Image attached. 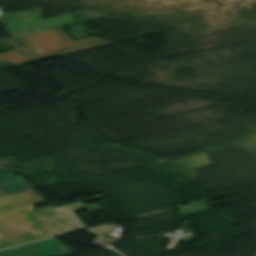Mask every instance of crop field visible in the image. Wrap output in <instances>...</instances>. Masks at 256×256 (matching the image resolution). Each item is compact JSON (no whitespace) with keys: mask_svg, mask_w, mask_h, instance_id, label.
<instances>
[{"mask_svg":"<svg viewBox=\"0 0 256 256\" xmlns=\"http://www.w3.org/2000/svg\"><path fill=\"white\" fill-rule=\"evenodd\" d=\"M45 203L34 191L0 197V249L85 228L73 212L80 202L33 211Z\"/></svg>","mask_w":256,"mask_h":256,"instance_id":"1","label":"crop field"},{"mask_svg":"<svg viewBox=\"0 0 256 256\" xmlns=\"http://www.w3.org/2000/svg\"><path fill=\"white\" fill-rule=\"evenodd\" d=\"M9 42L16 49L34 51L47 58L115 43L98 36L74 42L60 28L10 39Z\"/></svg>","mask_w":256,"mask_h":256,"instance_id":"2","label":"crop field"},{"mask_svg":"<svg viewBox=\"0 0 256 256\" xmlns=\"http://www.w3.org/2000/svg\"><path fill=\"white\" fill-rule=\"evenodd\" d=\"M70 248L55 238L0 251V256H60Z\"/></svg>","mask_w":256,"mask_h":256,"instance_id":"3","label":"crop field"},{"mask_svg":"<svg viewBox=\"0 0 256 256\" xmlns=\"http://www.w3.org/2000/svg\"><path fill=\"white\" fill-rule=\"evenodd\" d=\"M33 188L24 179L13 175L8 167L0 168V196Z\"/></svg>","mask_w":256,"mask_h":256,"instance_id":"4","label":"crop field"},{"mask_svg":"<svg viewBox=\"0 0 256 256\" xmlns=\"http://www.w3.org/2000/svg\"><path fill=\"white\" fill-rule=\"evenodd\" d=\"M45 59L44 57L35 54L33 52H23V51H12L0 54V61L6 60L10 63H15L17 65Z\"/></svg>","mask_w":256,"mask_h":256,"instance_id":"5","label":"crop field"},{"mask_svg":"<svg viewBox=\"0 0 256 256\" xmlns=\"http://www.w3.org/2000/svg\"><path fill=\"white\" fill-rule=\"evenodd\" d=\"M17 164L13 158H0V167L10 166Z\"/></svg>","mask_w":256,"mask_h":256,"instance_id":"6","label":"crop field"},{"mask_svg":"<svg viewBox=\"0 0 256 256\" xmlns=\"http://www.w3.org/2000/svg\"><path fill=\"white\" fill-rule=\"evenodd\" d=\"M87 211L92 212L100 210L101 208L97 204H83Z\"/></svg>","mask_w":256,"mask_h":256,"instance_id":"7","label":"crop field"},{"mask_svg":"<svg viewBox=\"0 0 256 256\" xmlns=\"http://www.w3.org/2000/svg\"><path fill=\"white\" fill-rule=\"evenodd\" d=\"M106 194H107V193H103V194H101V195L94 196V197H92V198L89 199V200H96V199H99V198H103V196L106 195Z\"/></svg>","mask_w":256,"mask_h":256,"instance_id":"8","label":"crop field"}]
</instances>
